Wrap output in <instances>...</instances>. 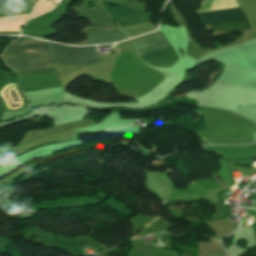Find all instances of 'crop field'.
<instances>
[{
    "mask_svg": "<svg viewBox=\"0 0 256 256\" xmlns=\"http://www.w3.org/2000/svg\"><path fill=\"white\" fill-rule=\"evenodd\" d=\"M91 44L111 43L123 37H127L122 31H104L88 35Z\"/></svg>",
    "mask_w": 256,
    "mask_h": 256,
    "instance_id": "crop-field-6",
    "label": "crop field"
},
{
    "mask_svg": "<svg viewBox=\"0 0 256 256\" xmlns=\"http://www.w3.org/2000/svg\"><path fill=\"white\" fill-rule=\"evenodd\" d=\"M1 155H3V154L0 153V156H1Z\"/></svg>",
    "mask_w": 256,
    "mask_h": 256,
    "instance_id": "crop-field-7",
    "label": "crop field"
},
{
    "mask_svg": "<svg viewBox=\"0 0 256 256\" xmlns=\"http://www.w3.org/2000/svg\"><path fill=\"white\" fill-rule=\"evenodd\" d=\"M1 57L14 71L54 67L46 43L37 39L13 42Z\"/></svg>",
    "mask_w": 256,
    "mask_h": 256,
    "instance_id": "crop-field-1",
    "label": "crop field"
},
{
    "mask_svg": "<svg viewBox=\"0 0 256 256\" xmlns=\"http://www.w3.org/2000/svg\"><path fill=\"white\" fill-rule=\"evenodd\" d=\"M120 28H127L148 23L146 13L137 12L127 7H104Z\"/></svg>",
    "mask_w": 256,
    "mask_h": 256,
    "instance_id": "crop-field-5",
    "label": "crop field"
},
{
    "mask_svg": "<svg viewBox=\"0 0 256 256\" xmlns=\"http://www.w3.org/2000/svg\"><path fill=\"white\" fill-rule=\"evenodd\" d=\"M201 22L221 21L246 17L240 8L198 14ZM206 30L238 31L251 28L246 18L203 24Z\"/></svg>",
    "mask_w": 256,
    "mask_h": 256,
    "instance_id": "crop-field-4",
    "label": "crop field"
},
{
    "mask_svg": "<svg viewBox=\"0 0 256 256\" xmlns=\"http://www.w3.org/2000/svg\"><path fill=\"white\" fill-rule=\"evenodd\" d=\"M131 45L140 57L154 66L169 68L178 59L177 54L159 30L140 37Z\"/></svg>",
    "mask_w": 256,
    "mask_h": 256,
    "instance_id": "crop-field-2",
    "label": "crop field"
},
{
    "mask_svg": "<svg viewBox=\"0 0 256 256\" xmlns=\"http://www.w3.org/2000/svg\"><path fill=\"white\" fill-rule=\"evenodd\" d=\"M56 63L84 66L102 63L95 47L74 48L46 42Z\"/></svg>",
    "mask_w": 256,
    "mask_h": 256,
    "instance_id": "crop-field-3",
    "label": "crop field"
}]
</instances>
